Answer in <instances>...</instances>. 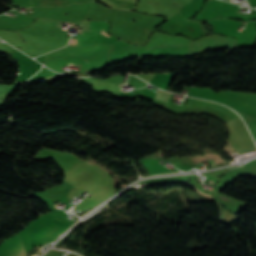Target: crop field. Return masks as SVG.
<instances>
[{"instance_id":"obj_1","label":"crop field","mask_w":256,"mask_h":256,"mask_svg":"<svg viewBox=\"0 0 256 256\" xmlns=\"http://www.w3.org/2000/svg\"><path fill=\"white\" fill-rule=\"evenodd\" d=\"M70 42L75 43L76 42V38H72Z\"/></svg>"}]
</instances>
